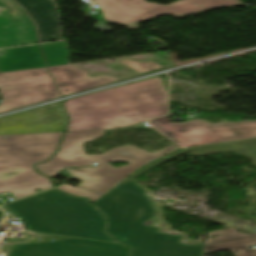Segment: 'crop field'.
Returning <instances> with one entry per match:
<instances>
[{
	"label": "crop field",
	"mask_w": 256,
	"mask_h": 256,
	"mask_svg": "<svg viewBox=\"0 0 256 256\" xmlns=\"http://www.w3.org/2000/svg\"><path fill=\"white\" fill-rule=\"evenodd\" d=\"M67 115L58 103L0 119V134L64 131Z\"/></svg>",
	"instance_id": "10"
},
{
	"label": "crop field",
	"mask_w": 256,
	"mask_h": 256,
	"mask_svg": "<svg viewBox=\"0 0 256 256\" xmlns=\"http://www.w3.org/2000/svg\"><path fill=\"white\" fill-rule=\"evenodd\" d=\"M195 156L216 154L220 152H237L238 154L253 159V164L256 166V139L201 146L186 149Z\"/></svg>",
	"instance_id": "16"
},
{
	"label": "crop field",
	"mask_w": 256,
	"mask_h": 256,
	"mask_svg": "<svg viewBox=\"0 0 256 256\" xmlns=\"http://www.w3.org/2000/svg\"><path fill=\"white\" fill-rule=\"evenodd\" d=\"M46 66L38 45L0 50L2 72Z\"/></svg>",
	"instance_id": "15"
},
{
	"label": "crop field",
	"mask_w": 256,
	"mask_h": 256,
	"mask_svg": "<svg viewBox=\"0 0 256 256\" xmlns=\"http://www.w3.org/2000/svg\"><path fill=\"white\" fill-rule=\"evenodd\" d=\"M64 132L0 135V193L15 199L52 188L50 179L34 170L56 151ZM42 191V190H41Z\"/></svg>",
	"instance_id": "5"
},
{
	"label": "crop field",
	"mask_w": 256,
	"mask_h": 256,
	"mask_svg": "<svg viewBox=\"0 0 256 256\" xmlns=\"http://www.w3.org/2000/svg\"><path fill=\"white\" fill-rule=\"evenodd\" d=\"M167 117L150 120L152 128L183 147L256 137V121L210 124L195 120L172 124Z\"/></svg>",
	"instance_id": "8"
},
{
	"label": "crop field",
	"mask_w": 256,
	"mask_h": 256,
	"mask_svg": "<svg viewBox=\"0 0 256 256\" xmlns=\"http://www.w3.org/2000/svg\"><path fill=\"white\" fill-rule=\"evenodd\" d=\"M184 152L186 150H179L136 172L95 203L107 216L108 232L120 242L134 247L133 256H202L204 245H182L179 243L182 236L159 233L157 227L143 224L154 216L155 210L146 190L134 181L147 170Z\"/></svg>",
	"instance_id": "1"
},
{
	"label": "crop field",
	"mask_w": 256,
	"mask_h": 256,
	"mask_svg": "<svg viewBox=\"0 0 256 256\" xmlns=\"http://www.w3.org/2000/svg\"><path fill=\"white\" fill-rule=\"evenodd\" d=\"M121 63H123L137 71H140V72H147L150 70L162 68L161 66L157 65L154 62H149L147 64H140V63L132 61V60H123V61H121Z\"/></svg>",
	"instance_id": "19"
},
{
	"label": "crop field",
	"mask_w": 256,
	"mask_h": 256,
	"mask_svg": "<svg viewBox=\"0 0 256 256\" xmlns=\"http://www.w3.org/2000/svg\"><path fill=\"white\" fill-rule=\"evenodd\" d=\"M49 70L63 96L122 80L108 76L89 78L86 71L80 70L73 65L51 67Z\"/></svg>",
	"instance_id": "13"
},
{
	"label": "crop field",
	"mask_w": 256,
	"mask_h": 256,
	"mask_svg": "<svg viewBox=\"0 0 256 256\" xmlns=\"http://www.w3.org/2000/svg\"><path fill=\"white\" fill-rule=\"evenodd\" d=\"M67 193L73 194L75 196H80V197H87L92 203L95 202L97 199L101 197V195H97L95 193L89 192L87 190L81 189L77 187L76 189L68 186V185H63L60 187H57ZM56 188V189H57Z\"/></svg>",
	"instance_id": "18"
},
{
	"label": "crop field",
	"mask_w": 256,
	"mask_h": 256,
	"mask_svg": "<svg viewBox=\"0 0 256 256\" xmlns=\"http://www.w3.org/2000/svg\"><path fill=\"white\" fill-rule=\"evenodd\" d=\"M0 48L38 43L35 25L13 0H0Z\"/></svg>",
	"instance_id": "11"
},
{
	"label": "crop field",
	"mask_w": 256,
	"mask_h": 256,
	"mask_svg": "<svg viewBox=\"0 0 256 256\" xmlns=\"http://www.w3.org/2000/svg\"><path fill=\"white\" fill-rule=\"evenodd\" d=\"M212 236L220 237L211 238ZM254 244H256V234L239 233L235 228L212 231L209 232L208 240L205 242L203 256L225 250H230L236 256H256V250L249 247ZM236 250L240 253L235 252Z\"/></svg>",
	"instance_id": "14"
},
{
	"label": "crop field",
	"mask_w": 256,
	"mask_h": 256,
	"mask_svg": "<svg viewBox=\"0 0 256 256\" xmlns=\"http://www.w3.org/2000/svg\"><path fill=\"white\" fill-rule=\"evenodd\" d=\"M129 124H122V125H114V126H112V128H114V127H121V126H128Z\"/></svg>",
	"instance_id": "20"
},
{
	"label": "crop field",
	"mask_w": 256,
	"mask_h": 256,
	"mask_svg": "<svg viewBox=\"0 0 256 256\" xmlns=\"http://www.w3.org/2000/svg\"><path fill=\"white\" fill-rule=\"evenodd\" d=\"M0 113L60 97L46 67L0 73Z\"/></svg>",
	"instance_id": "9"
},
{
	"label": "crop field",
	"mask_w": 256,
	"mask_h": 256,
	"mask_svg": "<svg viewBox=\"0 0 256 256\" xmlns=\"http://www.w3.org/2000/svg\"><path fill=\"white\" fill-rule=\"evenodd\" d=\"M104 133V130L67 132L62 139L59 152L46 164L36 165V167L41 173L56 177L60 169L92 166V163L98 162V167L67 168V170L72 177L82 181L78 186L98 194H104L133 170L180 147L174 144L153 154L128 145L112 149L104 153V155L86 156L84 150L85 142L94 141L103 136ZM116 161H126L129 165L117 168L107 163ZM86 172L89 174H86Z\"/></svg>",
	"instance_id": "3"
},
{
	"label": "crop field",
	"mask_w": 256,
	"mask_h": 256,
	"mask_svg": "<svg viewBox=\"0 0 256 256\" xmlns=\"http://www.w3.org/2000/svg\"><path fill=\"white\" fill-rule=\"evenodd\" d=\"M94 2L100 6L104 14L103 18L107 22L125 24L131 29H138V22L158 15L172 14L182 17L216 8L243 6L240 0H179L167 7L155 3L149 4L144 0H95ZM195 3L198 5H194ZM200 4L203 7H199Z\"/></svg>",
	"instance_id": "7"
},
{
	"label": "crop field",
	"mask_w": 256,
	"mask_h": 256,
	"mask_svg": "<svg viewBox=\"0 0 256 256\" xmlns=\"http://www.w3.org/2000/svg\"><path fill=\"white\" fill-rule=\"evenodd\" d=\"M4 207L23 220L28 231L115 242L112 237L105 234V221L90 202L56 189L18 200Z\"/></svg>",
	"instance_id": "4"
},
{
	"label": "crop field",
	"mask_w": 256,
	"mask_h": 256,
	"mask_svg": "<svg viewBox=\"0 0 256 256\" xmlns=\"http://www.w3.org/2000/svg\"><path fill=\"white\" fill-rule=\"evenodd\" d=\"M41 46L45 53L48 67L68 64L69 55L64 42L43 44Z\"/></svg>",
	"instance_id": "17"
},
{
	"label": "crop field",
	"mask_w": 256,
	"mask_h": 256,
	"mask_svg": "<svg viewBox=\"0 0 256 256\" xmlns=\"http://www.w3.org/2000/svg\"><path fill=\"white\" fill-rule=\"evenodd\" d=\"M38 26L40 42L63 39L58 12L52 0H16Z\"/></svg>",
	"instance_id": "12"
},
{
	"label": "crop field",
	"mask_w": 256,
	"mask_h": 256,
	"mask_svg": "<svg viewBox=\"0 0 256 256\" xmlns=\"http://www.w3.org/2000/svg\"><path fill=\"white\" fill-rule=\"evenodd\" d=\"M65 108L67 131L107 129L167 114V94L157 78L68 100Z\"/></svg>",
	"instance_id": "2"
},
{
	"label": "crop field",
	"mask_w": 256,
	"mask_h": 256,
	"mask_svg": "<svg viewBox=\"0 0 256 256\" xmlns=\"http://www.w3.org/2000/svg\"><path fill=\"white\" fill-rule=\"evenodd\" d=\"M0 248L3 256H129L130 251L117 243L44 233L27 234L25 242L2 241Z\"/></svg>",
	"instance_id": "6"
}]
</instances>
